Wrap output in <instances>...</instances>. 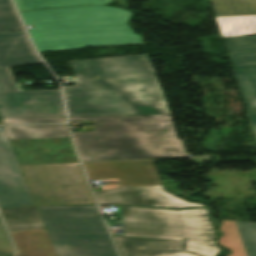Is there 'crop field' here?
Segmentation results:
<instances>
[{"instance_id":"8a807250","label":"crop field","mask_w":256,"mask_h":256,"mask_svg":"<svg viewBox=\"0 0 256 256\" xmlns=\"http://www.w3.org/2000/svg\"><path fill=\"white\" fill-rule=\"evenodd\" d=\"M69 116L170 113L147 54L71 62Z\"/></svg>"},{"instance_id":"ac0d7876","label":"crop field","mask_w":256,"mask_h":256,"mask_svg":"<svg viewBox=\"0 0 256 256\" xmlns=\"http://www.w3.org/2000/svg\"><path fill=\"white\" fill-rule=\"evenodd\" d=\"M69 118L93 120L94 131L72 132L82 162L186 157L170 114Z\"/></svg>"},{"instance_id":"34b2d1b8","label":"crop field","mask_w":256,"mask_h":256,"mask_svg":"<svg viewBox=\"0 0 256 256\" xmlns=\"http://www.w3.org/2000/svg\"><path fill=\"white\" fill-rule=\"evenodd\" d=\"M39 52L143 43L126 23L132 12L109 5L20 12ZM24 23V24H25Z\"/></svg>"},{"instance_id":"412701ff","label":"crop field","mask_w":256,"mask_h":256,"mask_svg":"<svg viewBox=\"0 0 256 256\" xmlns=\"http://www.w3.org/2000/svg\"><path fill=\"white\" fill-rule=\"evenodd\" d=\"M124 236L186 240L185 251L217 256L221 250L207 209L165 210L121 207Z\"/></svg>"},{"instance_id":"f4fd0767","label":"crop field","mask_w":256,"mask_h":256,"mask_svg":"<svg viewBox=\"0 0 256 256\" xmlns=\"http://www.w3.org/2000/svg\"><path fill=\"white\" fill-rule=\"evenodd\" d=\"M90 180L118 179L120 188L95 193L100 204L204 206L164 191L152 161L84 164Z\"/></svg>"},{"instance_id":"dd49c442","label":"crop field","mask_w":256,"mask_h":256,"mask_svg":"<svg viewBox=\"0 0 256 256\" xmlns=\"http://www.w3.org/2000/svg\"><path fill=\"white\" fill-rule=\"evenodd\" d=\"M79 164L20 165L35 204H95Z\"/></svg>"},{"instance_id":"e52e79f7","label":"crop field","mask_w":256,"mask_h":256,"mask_svg":"<svg viewBox=\"0 0 256 256\" xmlns=\"http://www.w3.org/2000/svg\"><path fill=\"white\" fill-rule=\"evenodd\" d=\"M4 128L19 164L78 162L67 124Z\"/></svg>"},{"instance_id":"d8731c3e","label":"crop field","mask_w":256,"mask_h":256,"mask_svg":"<svg viewBox=\"0 0 256 256\" xmlns=\"http://www.w3.org/2000/svg\"><path fill=\"white\" fill-rule=\"evenodd\" d=\"M2 117L65 116L59 89L17 92L8 68H0Z\"/></svg>"},{"instance_id":"5a996713","label":"crop field","mask_w":256,"mask_h":256,"mask_svg":"<svg viewBox=\"0 0 256 256\" xmlns=\"http://www.w3.org/2000/svg\"><path fill=\"white\" fill-rule=\"evenodd\" d=\"M37 208L49 235L108 233L96 206Z\"/></svg>"},{"instance_id":"3316defc","label":"crop field","mask_w":256,"mask_h":256,"mask_svg":"<svg viewBox=\"0 0 256 256\" xmlns=\"http://www.w3.org/2000/svg\"><path fill=\"white\" fill-rule=\"evenodd\" d=\"M35 205L4 130H0V208Z\"/></svg>"},{"instance_id":"28ad6ade","label":"crop field","mask_w":256,"mask_h":256,"mask_svg":"<svg viewBox=\"0 0 256 256\" xmlns=\"http://www.w3.org/2000/svg\"><path fill=\"white\" fill-rule=\"evenodd\" d=\"M49 237L57 256H116L108 234Z\"/></svg>"},{"instance_id":"d1516ede","label":"crop field","mask_w":256,"mask_h":256,"mask_svg":"<svg viewBox=\"0 0 256 256\" xmlns=\"http://www.w3.org/2000/svg\"><path fill=\"white\" fill-rule=\"evenodd\" d=\"M121 256H198L182 252L184 241L113 237Z\"/></svg>"},{"instance_id":"22f410ed","label":"crop field","mask_w":256,"mask_h":256,"mask_svg":"<svg viewBox=\"0 0 256 256\" xmlns=\"http://www.w3.org/2000/svg\"><path fill=\"white\" fill-rule=\"evenodd\" d=\"M39 63L25 32L0 34V67Z\"/></svg>"},{"instance_id":"cbeb9de0","label":"crop field","mask_w":256,"mask_h":256,"mask_svg":"<svg viewBox=\"0 0 256 256\" xmlns=\"http://www.w3.org/2000/svg\"><path fill=\"white\" fill-rule=\"evenodd\" d=\"M17 256H56L46 229L10 232Z\"/></svg>"},{"instance_id":"5142ce71","label":"crop field","mask_w":256,"mask_h":256,"mask_svg":"<svg viewBox=\"0 0 256 256\" xmlns=\"http://www.w3.org/2000/svg\"><path fill=\"white\" fill-rule=\"evenodd\" d=\"M9 231L45 228L36 207L0 210Z\"/></svg>"},{"instance_id":"d9b57169","label":"crop field","mask_w":256,"mask_h":256,"mask_svg":"<svg viewBox=\"0 0 256 256\" xmlns=\"http://www.w3.org/2000/svg\"><path fill=\"white\" fill-rule=\"evenodd\" d=\"M248 111L256 110V65L232 66Z\"/></svg>"},{"instance_id":"733c2abd","label":"crop field","mask_w":256,"mask_h":256,"mask_svg":"<svg viewBox=\"0 0 256 256\" xmlns=\"http://www.w3.org/2000/svg\"><path fill=\"white\" fill-rule=\"evenodd\" d=\"M215 18L223 38L256 34V16Z\"/></svg>"},{"instance_id":"4a817a6b","label":"crop field","mask_w":256,"mask_h":256,"mask_svg":"<svg viewBox=\"0 0 256 256\" xmlns=\"http://www.w3.org/2000/svg\"><path fill=\"white\" fill-rule=\"evenodd\" d=\"M215 16L256 15V0H210Z\"/></svg>"},{"instance_id":"bc2a9ffb","label":"crop field","mask_w":256,"mask_h":256,"mask_svg":"<svg viewBox=\"0 0 256 256\" xmlns=\"http://www.w3.org/2000/svg\"><path fill=\"white\" fill-rule=\"evenodd\" d=\"M20 11L67 7L109 4L111 0H15Z\"/></svg>"},{"instance_id":"214f88e0","label":"crop field","mask_w":256,"mask_h":256,"mask_svg":"<svg viewBox=\"0 0 256 256\" xmlns=\"http://www.w3.org/2000/svg\"><path fill=\"white\" fill-rule=\"evenodd\" d=\"M228 39L238 65L256 64V36Z\"/></svg>"},{"instance_id":"92a150f3","label":"crop field","mask_w":256,"mask_h":256,"mask_svg":"<svg viewBox=\"0 0 256 256\" xmlns=\"http://www.w3.org/2000/svg\"><path fill=\"white\" fill-rule=\"evenodd\" d=\"M222 222L224 223L222 229L225 235L221 238V243L233 250V254L230 256H246L235 222L225 220H222Z\"/></svg>"},{"instance_id":"dafd665d","label":"crop field","mask_w":256,"mask_h":256,"mask_svg":"<svg viewBox=\"0 0 256 256\" xmlns=\"http://www.w3.org/2000/svg\"><path fill=\"white\" fill-rule=\"evenodd\" d=\"M23 29L10 0H0V32Z\"/></svg>"},{"instance_id":"00972430","label":"crop field","mask_w":256,"mask_h":256,"mask_svg":"<svg viewBox=\"0 0 256 256\" xmlns=\"http://www.w3.org/2000/svg\"><path fill=\"white\" fill-rule=\"evenodd\" d=\"M235 222L247 256H256V223Z\"/></svg>"},{"instance_id":"a9b5d70f","label":"crop field","mask_w":256,"mask_h":256,"mask_svg":"<svg viewBox=\"0 0 256 256\" xmlns=\"http://www.w3.org/2000/svg\"><path fill=\"white\" fill-rule=\"evenodd\" d=\"M5 124L66 122L65 117L3 118Z\"/></svg>"},{"instance_id":"4177f3b9","label":"crop field","mask_w":256,"mask_h":256,"mask_svg":"<svg viewBox=\"0 0 256 256\" xmlns=\"http://www.w3.org/2000/svg\"><path fill=\"white\" fill-rule=\"evenodd\" d=\"M14 249L0 219V256H13Z\"/></svg>"},{"instance_id":"730fd06b","label":"crop field","mask_w":256,"mask_h":256,"mask_svg":"<svg viewBox=\"0 0 256 256\" xmlns=\"http://www.w3.org/2000/svg\"><path fill=\"white\" fill-rule=\"evenodd\" d=\"M117 208H119V209H118L119 221H115V220H106L108 225H122L120 207L117 206Z\"/></svg>"},{"instance_id":"eef30255","label":"crop field","mask_w":256,"mask_h":256,"mask_svg":"<svg viewBox=\"0 0 256 256\" xmlns=\"http://www.w3.org/2000/svg\"><path fill=\"white\" fill-rule=\"evenodd\" d=\"M224 41H225V44H226L227 50H228V52H229V55H230V58H231L232 64H233V65H237V64H236V61H235V59H234V56H233V53H232L231 47H230V45H229L228 39H227V38H225V39H224Z\"/></svg>"},{"instance_id":"ae1a2a85","label":"crop field","mask_w":256,"mask_h":256,"mask_svg":"<svg viewBox=\"0 0 256 256\" xmlns=\"http://www.w3.org/2000/svg\"><path fill=\"white\" fill-rule=\"evenodd\" d=\"M249 113V116L251 118V121H252V124H253V127H254V131H255V134H256V111L255 112H248Z\"/></svg>"},{"instance_id":"d3111659","label":"crop field","mask_w":256,"mask_h":256,"mask_svg":"<svg viewBox=\"0 0 256 256\" xmlns=\"http://www.w3.org/2000/svg\"><path fill=\"white\" fill-rule=\"evenodd\" d=\"M117 1L118 3H120L121 5L125 6L128 8V5L126 4V1L125 0H115Z\"/></svg>"},{"instance_id":"750c4746","label":"crop field","mask_w":256,"mask_h":256,"mask_svg":"<svg viewBox=\"0 0 256 256\" xmlns=\"http://www.w3.org/2000/svg\"><path fill=\"white\" fill-rule=\"evenodd\" d=\"M114 235V234H113ZM118 236H123V232H122V235H118Z\"/></svg>"},{"instance_id":"bd1437ed","label":"crop field","mask_w":256,"mask_h":256,"mask_svg":"<svg viewBox=\"0 0 256 256\" xmlns=\"http://www.w3.org/2000/svg\"><path fill=\"white\" fill-rule=\"evenodd\" d=\"M1 123V122H0Z\"/></svg>"}]
</instances>
